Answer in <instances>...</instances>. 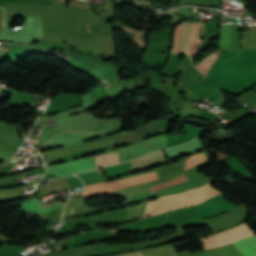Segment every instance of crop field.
<instances>
[{"mask_svg":"<svg viewBox=\"0 0 256 256\" xmlns=\"http://www.w3.org/2000/svg\"><path fill=\"white\" fill-rule=\"evenodd\" d=\"M156 179H160V177L158 176V174L156 172H154V173L146 174V175L139 176V177H136V178L121 181V182H118V183L110 184V186L115 191H117V190H121V189L128 188V187H131V186H135V185H139V184L146 183V182H149V181H153V180H156Z\"/></svg>","mask_w":256,"mask_h":256,"instance_id":"obj_5","label":"crop field"},{"mask_svg":"<svg viewBox=\"0 0 256 256\" xmlns=\"http://www.w3.org/2000/svg\"><path fill=\"white\" fill-rule=\"evenodd\" d=\"M116 256H142V254L140 253V251H137V252L120 254V255H116Z\"/></svg>","mask_w":256,"mask_h":256,"instance_id":"obj_11","label":"crop field"},{"mask_svg":"<svg viewBox=\"0 0 256 256\" xmlns=\"http://www.w3.org/2000/svg\"><path fill=\"white\" fill-rule=\"evenodd\" d=\"M245 256H256V235L233 243Z\"/></svg>","mask_w":256,"mask_h":256,"instance_id":"obj_6","label":"crop field"},{"mask_svg":"<svg viewBox=\"0 0 256 256\" xmlns=\"http://www.w3.org/2000/svg\"><path fill=\"white\" fill-rule=\"evenodd\" d=\"M198 42H199V40H198V39H195V40L190 44V46H189L187 52H188V53H193L194 50H195V48H196V46H197V44H198Z\"/></svg>","mask_w":256,"mask_h":256,"instance_id":"obj_10","label":"crop field"},{"mask_svg":"<svg viewBox=\"0 0 256 256\" xmlns=\"http://www.w3.org/2000/svg\"><path fill=\"white\" fill-rule=\"evenodd\" d=\"M204 160H206V158H205L203 152H201L199 154H194L188 158L186 169H188Z\"/></svg>","mask_w":256,"mask_h":256,"instance_id":"obj_9","label":"crop field"},{"mask_svg":"<svg viewBox=\"0 0 256 256\" xmlns=\"http://www.w3.org/2000/svg\"><path fill=\"white\" fill-rule=\"evenodd\" d=\"M185 181H188V179L184 175H182V176H180L176 179H173L169 182L157 185V186H155L151 189L154 192V191H157V190L169 187V186H173V185L185 182ZM193 187H195V186L190 181H188V182H185V183L173 186V187H169V188L154 192L153 194L158 198V197H161V196L173 194V193L180 192V191L190 189V188H193Z\"/></svg>","mask_w":256,"mask_h":256,"instance_id":"obj_3","label":"crop field"},{"mask_svg":"<svg viewBox=\"0 0 256 256\" xmlns=\"http://www.w3.org/2000/svg\"><path fill=\"white\" fill-rule=\"evenodd\" d=\"M3 125H4V123H1V122H0V133H1V131H2Z\"/></svg>","mask_w":256,"mask_h":256,"instance_id":"obj_12","label":"crop field"},{"mask_svg":"<svg viewBox=\"0 0 256 256\" xmlns=\"http://www.w3.org/2000/svg\"><path fill=\"white\" fill-rule=\"evenodd\" d=\"M34 143L36 142V141H33Z\"/></svg>","mask_w":256,"mask_h":256,"instance_id":"obj_13","label":"crop field"},{"mask_svg":"<svg viewBox=\"0 0 256 256\" xmlns=\"http://www.w3.org/2000/svg\"><path fill=\"white\" fill-rule=\"evenodd\" d=\"M254 232L248 228L244 223L222 230L218 233L211 234L201 238L204 249L217 247L241 238L253 235Z\"/></svg>","mask_w":256,"mask_h":256,"instance_id":"obj_1","label":"crop field"},{"mask_svg":"<svg viewBox=\"0 0 256 256\" xmlns=\"http://www.w3.org/2000/svg\"><path fill=\"white\" fill-rule=\"evenodd\" d=\"M184 26H185V23H181V24L178 26V30H177V27H176V29H175V33H174V43H175L176 30H177V37H176V43H175V50H174V46H173V48H172V50H171V53H173V50H174V53H180L181 44H182V38H183V32H184ZM188 26H189V23H186L181 53H184V50H185V44H186ZM192 26H193V23H190L186 47H187V45H188L189 42H190L191 32H192ZM195 26H196V23H194V26H193V32H192L191 41L194 39ZM201 33H202L201 24L197 23L196 35H195V37H197V36H198L199 34H201Z\"/></svg>","mask_w":256,"mask_h":256,"instance_id":"obj_2","label":"crop field"},{"mask_svg":"<svg viewBox=\"0 0 256 256\" xmlns=\"http://www.w3.org/2000/svg\"><path fill=\"white\" fill-rule=\"evenodd\" d=\"M119 153L105 154L95 157V163L97 167H101L108 164L119 163L118 162Z\"/></svg>","mask_w":256,"mask_h":256,"instance_id":"obj_7","label":"crop field"},{"mask_svg":"<svg viewBox=\"0 0 256 256\" xmlns=\"http://www.w3.org/2000/svg\"><path fill=\"white\" fill-rule=\"evenodd\" d=\"M217 56L210 55L206 57L200 64L196 65L195 67L201 72L203 75L205 71L210 67V65L213 63V61L216 59Z\"/></svg>","mask_w":256,"mask_h":256,"instance_id":"obj_8","label":"crop field"},{"mask_svg":"<svg viewBox=\"0 0 256 256\" xmlns=\"http://www.w3.org/2000/svg\"><path fill=\"white\" fill-rule=\"evenodd\" d=\"M166 162L167 161L165 159V155L162 151L152 153L143 158L132 161L129 174L139 171V170H142V169H145V168H148V167H151V166L166 163Z\"/></svg>","mask_w":256,"mask_h":256,"instance_id":"obj_4","label":"crop field"}]
</instances>
